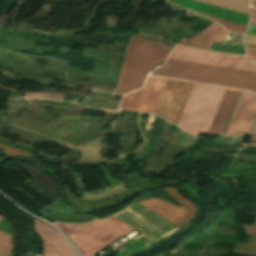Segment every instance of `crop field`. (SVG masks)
I'll return each instance as SVG.
<instances>
[{
  "label": "crop field",
  "mask_w": 256,
  "mask_h": 256,
  "mask_svg": "<svg viewBox=\"0 0 256 256\" xmlns=\"http://www.w3.org/2000/svg\"><path fill=\"white\" fill-rule=\"evenodd\" d=\"M245 48L248 59L256 60V47L245 45Z\"/></svg>",
  "instance_id": "92a150f3"
},
{
  "label": "crop field",
  "mask_w": 256,
  "mask_h": 256,
  "mask_svg": "<svg viewBox=\"0 0 256 256\" xmlns=\"http://www.w3.org/2000/svg\"><path fill=\"white\" fill-rule=\"evenodd\" d=\"M256 142V141H255Z\"/></svg>",
  "instance_id": "028f5c9d"
},
{
  "label": "crop field",
  "mask_w": 256,
  "mask_h": 256,
  "mask_svg": "<svg viewBox=\"0 0 256 256\" xmlns=\"http://www.w3.org/2000/svg\"><path fill=\"white\" fill-rule=\"evenodd\" d=\"M243 146H256V144H246V145H243Z\"/></svg>",
  "instance_id": "bd1437ed"
},
{
  "label": "crop field",
  "mask_w": 256,
  "mask_h": 256,
  "mask_svg": "<svg viewBox=\"0 0 256 256\" xmlns=\"http://www.w3.org/2000/svg\"><path fill=\"white\" fill-rule=\"evenodd\" d=\"M165 189L184 207L181 208L173 204L163 202L159 199H148L146 201L137 202L135 204L149 210L150 212L166 219L167 221L179 227L187 225L196 216V207L181 194H179L178 190L170 187H166Z\"/></svg>",
  "instance_id": "dd49c442"
},
{
  "label": "crop field",
  "mask_w": 256,
  "mask_h": 256,
  "mask_svg": "<svg viewBox=\"0 0 256 256\" xmlns=\"http://www.w3.org/2000/svg\"><path fill=\"white\" fill-rule=\"evenodd\" d=\"M56 225L75 243L82 256H96L110 242L134 230L110 217L89 224Z\"/></svg>",
  "instance_id": "34b2d1b8"
},
{
  "label": "crop field",
  "mask_w": 256,
  "mask_h": 256,
  "mask_svg": "<svg viewBox=\"0 0 256 256\" xmlns=\"http://www.w3.org/2000/svg\"><path fill=\"white\" fill-rule=\"evenodd\" d=\"M12 252V236L0 232V256H10Z\"/></svg>",
  "instance_id": "733c2abd"
},
{
  "label": "crop field",
  "mask_w": 256,
  "mask_h": 256,
  "mask_svg": "<svg viewBox=\"0 0 256 256\" xmlns=\"http://www.w3.org/2000/svg\"><path fill=\"white\" fill-rule=\"evenodd\" d=\"M169 58L256 72L245 57L190 47L177 46Z\"/></svg>",
  "instance_id": "e52e79f7"
},
{
  "label": "crop field",
  "mask_w": 256,
  "mask_h": 256,
  "mask_svg": "<svg viewBox=\"0 0 256 256\" xmlns=\"http://www.w3.org/2000/svg\"><path fill=\"white\" fill-rule=\"evenodd\" d=\"M248 14L249 0H198Z\"/></svg>",
  "instance_id": "5142ce71"
},
{
  "label": "crop field",
  "mask_w": 256,
  "mask_h": 256,
  "mask_svg": "<svg viewBox=\"0 0 256 256\" xmlns=\"http://www.w3.org/2000/svg\"><path fill=\"white\" fill-rule=\"evenodd\" d=\"M245 44L256 46V36L247 34L245 37Z\"/></svg>",
  "instance_id": "dafd665d"
},
{
  "label": "crop field",
  "mask_w": 256,
  "mask_h": 256,
  "mask_svg": "<svg viewBox=\"0 0 256 256\" xmlns=\"http://www.w3.org/2000/svg\"><path fill=\"white\" fill-rule=\"evenodd\" d=\"M251 140H256V133H253V134H252Z\"/></svg>",
  "instance_id": "d3111659"
},
{
  "label": "crop field",
  "mask_w": 256,
  "mask_h": 256,
  "mask_svg": "<svg viewBox=\"0 0 256 256\" xmlns=\"http://www.w3.org/2000/svg\"><path fill=\"white\" fill-rule=\"evenodd\" d=\"M251 61V60H250ZM253 65L256 67V61H251Z\"/></svg>",
  "instance_id": "1d83c4d3"
},
{
  "label": "crop field",
  "mask_w": 256,
  "mask_h": 256,
  "mask_svg": "<svg viewBox=\"0 0 256 256\" xmlns=\"http://www.w3.org/2000/svg\"><path fill=\"white\" fill-rule=\"evenodd\" d=\"M111 217L135 228L156 241L180 229L135 204Z\"/></svg>",
  "instance_id": "f4fd0767"
},
{
  "label": "crop field",
  "mask_w": 256,
  "mask_h": 256,
  "mask_svg": "<svg viewBox=\"0 0 256 256\" xmlns=\"http://www.w3.org/2000/svg\"><path fill=\"white\" fill-rule=\"evenodd\" d=\"M153 76L256 91V73L167 59Z\"/></svg>",
  "instance_id": "8a807250"
},
{
  "label": "crop field",
  "mask_w": 256,
  "mask_h": 256,
  "mask_svg": "<svg viewBox=\"0 0 256 256\" xmlns=\"http://www.w3.org/2000/svg\"><path fill=\"white\" fill-rule=\"evenodd\" d=\"M241 91L226 89L208 134H223Z\"/></svg>",
  "instance_id": "22f410ed"
},
{
  "label": "crop field",
  "mask_w": 256,
  "mask_h": 256,
  "mask_svg": "<svg viewBox=\"0 0 256 256\" xmlns=\"http://www.w3.org/2000/svg\"><path fill=\"white\" fill-rule=\"evenodd\" d=\"M174 47L133 36L114 94H123L143 87L148 71L166 60Z\"/></svg>",
  "instance_id": "ac0d7876"
},
{
  "label": "crop field",
  "mask_w": 256,
  "mask_h": 256,
  "mask_svg": "<svg viewBox=\"0 0 256 256\" xmlns=\"http://www.w3.org/2000/svg\"><path fill=\"white\" fill-rule=\"evenodd\" d=\"M4 216H2L1 214H0V220L3 218Z\"/></svg>",
  "instance_id": "120bbe31"
},
{
  "label": "crop field",
  "mask_w": 256,
  "mask_h": 256,
  "mask_svg": "<svg viewBox=\"0 0 256 256\" xmlns=\"http://www.w3.org/2000/svg\"><path fill=\"white\" fill-rule=\"evenodd\" d=\"M249 210H256V177L244 180Z\"/></svg>",
  "instance_id": "d9b57169"
},
{
  "label": "crop field",
  "mask_w": 256,
  "mask_h": 256,
  "mask_svg": "<svg viewBox=\"0 0 256 256\" xmlns=\"http://www.w3.org/2000/svg\"><path fill=\"white\" fill-rule=\"evenodd\" d=\"M251 5L256 7V0H251Z\"/></svg>",
  "instance_id": "ae1a2a85"
},
{
  "label": "crop field",
  "mask_w": 256,
  "mask_h": 256,
  "mask_svg": "<svg viewBox=\"0 0 256 256\" xmlns=\"http://www.w3.org/2000/svg\"><path fill=\"white\" fill-rule=\"evenodd\" d=\"M247 33L256 35V25L250 24Z\"/></svg>",
  "instance_id": "730fd06b"
},
{
  "label": "crop field",
  "mask_w": 256,
  "mask_h": 256,
  "mask_svg": "<svg viewBox=\"0 0 256 256\" xmlns=\"http://www.w3.org/2000/svg\"><path fill=\"white\" fill-rule=\"evenodd\" d=\"M168 1L178 4L182 7H185L195 12L212 15L215 17L231 20V21L246 24V25L248 24L247 14L235 12L232 10L220 8L217 6L201 3L194 0H168Z\"/></svg>",
  "instance_id": "d1516ede"
},
{
  "label": "crop field",
  "mask_w": 256,
  "mask_h": 256,
  "mask_svg": "<svg viewBox=\"0 0 256 256\" xmlns=\"http://www.w3.org/2000/svg\"><path fill=\"white\" fill-rule=\"evenodd\" d=\"M252 24H256V9L251 8V22Z\"/></svg>",
  "instance_id": "4177f3b9"
},
{
  "label": "crop field",
  "mask_w": 256,
  "mask_h": 256,
  "mask_svg": "<svg viewBox=\"0 0 256 256\" xmlns=\"http://www.w3.org/2000/svg\"><path fill=\"white\" fill-rule=\"evenodd\" d=\"M192 84L169 79L155 115L177 123Z\"/></svg>",
  "instance_id": "5a996713"
},
{
  "label": "crop field",
  "mask_w": 256,
  "mask_h": 256,
  "mask_svg": "<svg viewBox=\"0 0 256 256\" xmlns=\"http://www.w3.org/2000/svg\"><path fill=\"white\" fill-rule=\"evenodd\" d=\"M235 248L256 251L255 246H246V245L236 244Z\"/></svg>",
  "instance_id": "00972430"
},
{
  "label": "crop field",
  "mask_w": 256,
  "mask_h": 256,
  "mask_svg": "<svg viewBox=\"0 0 256 256\" xmlns=\"http://www.w3.org/2000/svg\"><path fill=\"white\" fill-rule=\"evenodd\" d=\"M0 148L4 150V152L7 153V155L9 156H19V157H28V156H32L26 152L17 150V149H13V148H9V147H5V146H1Z\"/></svg>",
  "instance_id": "214f88e0"
},
{
  "label": "crop field",
  "mask_w": 256,
  "mask_h": 256,
  "mask_svg": "<svg viewBox=\"0 0 256 256\" xmlns=\"http://www.w3.org/2000/svg\"><path fill=\"white\" fill-rule=\"evenodd\" d=\"M254 224H256V218H255V222H254Z\"/></svg>",
  "instance_id": "5866460e"
},
{
  "label": "crop field",
  "mask_w": 256,
  "mask_h": 256,
  "mask_svg": "<svg viewBox=\"0 0 256 256\" xmlns=\"http://www.w3.org/2000/svg\"><path fill=\"white\" fill-rule=\"evenodd\" d=\"M167 80L149 77L145 88L125 96L120 110L128 109L154 115Z\"/></svg>",
  "instance_id": "d8731c3e"
},
{
  "label": "crop field",
  "mask_w": 256,
  "mask_h": 256,
  "mask_svg": "<svg viewBox=\"0 0 256 256\" xmlns=\"http://www.w3.org/2000/svg\"><path fill=\"white\" fill-rule=\"evenodd\" d=\"M247 243L256 244V236H249Z\"/></svg>",
  "instance_id": "eef30255"
},
{
  "label": "crop field",
  "mask_w": 256,
  "mask_h": 256,
  "mask_svg": "<svg viewBox=\"0 0 256 256\" xmlns=\"http://www.w3.org/2000/svg\"><path fill=\"white\" fill-rule=\"evenodd\" d=\"M237 251V250H234ZM237 252H248V253H256V252H249V251H237Z\"/></svg>",
  "instance_id": "750c4746"
},
{
  "label": "crop field",
  "mask_w": 256,
  "mask_h": 256,
  "mask_svg": "<svg viewBox=\"0 0 256 256\" xmlns=\"http://www.w3.org/2000/svg\"><path fill=\"white\" fill-rule=\"evenodd\" d=\"M253 132H256V127L254 128V131Z\"/></svg>",
  "instance_id": "d32e631a"
},
{
  "label": "crop field",
  "mask_w": 256,
  "mask_h": 256,
  "mask_svg": "<svg viewBox=\"0 0 256 256\" xmlns=\"http://www.w3.org/2000/svg\"><path fill=\"white\" fill-rule=\"evenodd\" d=\"M179 45L208 49V47L211 45V42L191 37L183 42H180Z\"/></svg>",
  "instance_id": "bc2a9ffb"
},
{
  "label": "crop field",
  "mask_w": 256,
  "mask_h": 256,
  "mask_svg": "<svg viewBox=\"0 0 256 256\" xmlns=\"http://www.w3.org/2000/svg\"><path fill=\"white\" fill-rule=\"evenodd\" d=\"M205 16H207V15H205ZM207 17L217 21L222 26H224L227 29H229L231 31H234V32H238V33L244 34V32L246 30V27H247L246 25H242V24H238V23L222 20V19H219V18H215V17H211V16H207Z\"/></svg>",
  "instance_id": "4a817a6b"
},
{
  "label": "crop field",
  "mask_w": 256,
  "mask_h": 256,
  "mask_svg": "<svg viewBox=\"0 0 256 256\" xmlns=\"http://www.w3.org/2000/svg\"><path fill=\"white\" fill-rule=\"evenodd\" d=\"M33 221L34 228L44 243L43 255L36 256H77L74 249L53 227L34 218Z\"/></svg>",
  "instance_id": "28ad6ade"
},
{
  "label": "crop field",
  "mask_w": 256,
  "mask_h": 256,
  "mask_svg": "<svg viewBox=\"0 0 256 256\" xmlns=\"http://www.w3.org/2000/svg\"><path fill=\"white\" fill-rule=\"evenodd\" d=\"M228 34L229 32L225 28L214 23L194 37H198L211 42H217Z\"/></svg>",
  "instance_id": "cbeb9de0"
},
{
  "label": "crop field",
  "mask_w": 256,
  "mask_h": 256,
  "mask_svg": "<svg viewBox=\"0 0 256 256\" xmlns=\"http://www.w3.org/2000/svg\"><path fill=\"white\" fill-rule=\"evenodd\" d=\"M256 119V93L242 91L225 135L250 133Z\"/></svg>",
  "instance_id": "3316defc"
},
{
  "label": "crop field",
  "mask_w": 256,
  "mask_h": 256,
  "mask_svg": "<svg viewBox=\"0 0 256 256\" xmlns=\"http://www.w3.org/2000/svg\"><path fill=\"white\" fill-rule=\"evenodd\" d=\"M224 90L194 83L178 126L192 134H207Z\"/></svg>",
  "instance_id": "412701ff"
},
{
  "label": "crop field",
  "mask_w": 256,
  "mask_h": 256,
  "mask_svg": "<svg viewBox=\"0 0 256 256\" xmlns=\"http://www.w3.org/2000/svg\"><path fill=\"white\" fill-rule=\"evenodd\" d=\"M248 234H256V226H244Z\"/></svg>",
  "instance_id": "a9b5d70f"
}]
</instances>
